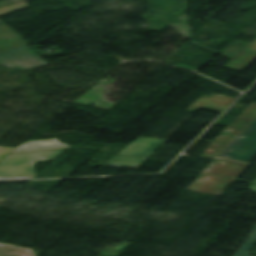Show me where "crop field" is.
Segmentation results:
<instances>
[{"label": "crop field", "mask_w": 256, "mask_h": 256, "mask_svg": "<svg viewBox=\"0 0 256 256\" xmlns=\"http://www.w3.org/2000/svg\"><path fill=\"white\" fill-rule=\"evenodd\" d=\"M58 142L57 139H52V140H42V141H32V142H27L22 146H30V145H38V144H47V143H55ZM20 146V147H22Z\"/></svg>", "instance_id": "5142ce71"}, {"label": "crop field", "mask_w": 256, "mask_h": 256, "mask_svg": "<svg viewBox=\"0 0 256 256\" xmlns=\"http://www.w3.org/2000/svg\"><path fill=\"white\" fill-rule=\"evenodd\" d=\"M22 43L26 41L0 19V51Z\"/></svg>", "instance_id": "5a996713"}, {"label": "crop field", "mask_w": 256, "mask_h": 256, "mask_svg": "<svg viewBox=\"0 0 256 256\" xmlns=\"http://www.w3.org/2000/svg\"><path fill=\"white\" fill-rule=\"evenodd\" d=\"M35 176H36V175H32V176H21V177H10V178H0V181L33 179Z\"/></svg>", "instance_id": "d9b57169"}, {"label": "crop field", "mask_w": 256, "mask_h": 256, "mask_svg": "<svg viewBox=\"0 0 256 256\" xmlns=\"http://www.w3.org/2000/svg\"><path fill=\"white\" fill-rule=\"evenodd\" d=\"M63 150L8 155L0 162V177L36 174L35 161L55 159Z\"/></svg>", "instance_id": "ac0d7876"}, {"label": "crop field", "mask_w": 256, "mask_h": 256, "mask_svg": "<svg viewBox=\"0 0 256 256\" xmlns=\"http://www.w3.org/2000/svg\"><path fill=\"white\" fill-rule=\"evenodd\" d=\"M222 154L229 159L250 163L256 156V120Z\"/></svg>", "instance_id": "412701ff"}, {"label": "crop field", "mask_w": 256, "mask_h": 256, "mask_svg": "<svg viewBox=\"0 0 256 256\" xmlns=\"http://www.w3.org/2000/svg\"><path fill=\"white\" fill-rule=\"evenodd\" d=\"M68 146L69 145L55 143V144H47V145H39V146L22 147V148L15 149L10 154L21 153V152H30V151H38V150H46V149L63 148V147H68Z\"/></svg>", "instance_id": "22f410ed"}, {"label": "crop field", "mask_w": 256, "mask_h": 256, "mask_svg": "<svg viewBox=\"0 0 256 256\" xmlns=\"http://www.w3.org/2000/svg\"><path fill=\"white\" fill-rule=\"evenodd\" d=\"M165 140L139 138L120 154L149 157Z\"/></svg>", "instance_id": "dd49c442"}, {"label": "crop field", "mask_w": 256, "mask_h": 256, "mask_svg": "<svg viewBox=\"0 0 256 256\" xmlns=\"http://www.w3.org/2000/svg\"><path fill=\"white\" fill-rule=\"evenodd\" d=\"M255 184H256V181L254 182ZM249 190H251V191H256V185H252L250 188H249Z\"/></svg>", "instance_id": "4a817a6b"}, {"label": "crop field", "mask_w": 256, "mask_h": 256, "mask_svg": "<svg viewBox=\"0 0 256 256\" xmlns=\"http://www.w3.org/2000/svg\"><path fill=\"white\" fill-rule=\"evenodd\" d=\"M223 164L212 163L204 172L200 184L193 183L188 189L213 195L222 194L246 164L226 160Z\"/></svg>", "instance_id": "8a807250"}, {"label": "crop field", "mask_w": 256, "mask_h": 256, "mask_svg": "<svg viewBox=\"0 0 256 256\" xmlns=\"http://www.w3.org/2000/svg\"><path fill=\"white\" fill-rule=\"evenodd\" d=\"M14 149L15 148H3V147H0V160L3 159L5 156H7Z\"/></svg>", "instance_id": "733c2abd"}, {"label": "crop field", "mask_w": 256, "mask_h": 256, "mask_svg": "<svg viewBox=\"0 0 256 256\" xmlns=\"http://www.w3.org/2000/svg\"><path fill=\"white\" fill-rule=\"evenodd\" d=\"M256 119V104L253 103L235 122L228 128V133L237 134L233 139L219 137L204 155H220L239 135Z\"/></svg>", "instance_id": "f4fd0767"}, {"label": "crop field", "mask_w": 256, "mask_h": 256, "mask_svg": "<svg viewBox=\"0 0 256 256\" xmlns=\"http://www.w3.org/2000/svg\"><path fill=\"white\" fill-rule=\"evenodd\" d=\"M0 65L25 71L49 64L30 47L24 44L12 50L0 53Z\"/></svg>", "instance_id": "34b2d1b8"}, {"label": "crop field", "mask_w": 256, "mask_h": 256, "mask_svg": "<svg viewBox=\"0 0 256 256\" xmlns=\"http://www.w3.org/2000/svg\"><path fill=\"white\" fill-rule=\"evenodd\" d=\"M21 252V253H19ZM0 256H36L32 249L0 244Z\"/></svg>", "instance_id": "3316defc"}, {"label": "crop field", "mask_w": 256, "mask_h": 256, "mask_svg": "<svg viewBox=\"0 0 256 256\" xmlns=\"http://www.w3.org/2000/svg\"><path fill=\"white\" fill-rule=\"evenodd\" d=\"M256 58V41L230 60L224 68L242 72Z\"/></svg>", "instance_id": "d8731c3e"}, {"label": "crop field", "mask_w": 256, "mask_h": 256, "mask_svg": "<svg viewBox=\"0 0 256 256\" xmlns=\"http://www.w3.org/2000/svg\"><path fill=\"white\" fill-rule=\"evenodd\" d=\"M256 243V228L248 239L243 243L239 250L234 254V256H249L251 252L250 249Z\"/></svg>", "instance_id": "d1516ede"}, {"label": "crop field", "mask_w": 256, "mask_h": 256, "mask_svg": "<svg viewBox=\"0 0 256 256\" xmlns=\"http://www.w3.org/2000/svg\"><path fill=\"white\" fill-rule=\"evenodd\" d=\"M25 7H28L26 2L20 3V4H16V5H12V6H8V7H4V8H0V15H3V14L8 13V12H11V11H13L15 9L25 8Z\"/></svg>", "instance_id": "cbeb9de0"}, {"label": "crop field", "mask_w": 256, "mask_h": 256, "mask_svg": "<svg viewBox=\"0 0 256 256\" xmlns=\"http://www.w3.org/2000/svg\"><path fill=\"white\" fill-rule=\"evenodd\" d=\"M234 100L235 98L221 94H218L212 98L202 97L187 108V110L194 112L200 108H206L222 113Z\"/></svg>", "instance_id": "e52e79f7"}, {"label": "crop field", "mask_w": 256, "mask_h": 256, "mask_svg": "<svg viewBox=\"0 0 256 256\" xmlns=\"http://www.w3.org/2000/svg\"><path fill=\"white\" fill-rule=\"evenodd\" d=\"M144 160L145 159L142 158L117 156L107 165L137 168L142 164Z\"/></svg>", "instance_id": "28ad6ade"}]
</instances>
